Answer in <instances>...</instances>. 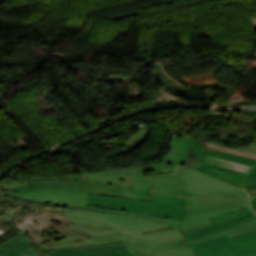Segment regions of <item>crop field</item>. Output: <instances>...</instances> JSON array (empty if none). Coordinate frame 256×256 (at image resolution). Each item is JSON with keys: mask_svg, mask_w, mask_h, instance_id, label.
I'll list each match as a JSON object with an SVG mask.
<instances>
[{"mask_svg": "<svg viewBox=\"0 0 256 256\" xmlns=\"http://www.w3.org/2000/svg\"><path fill=\"white\" fill-rule=\"evenodd\" d=\"M184 184L186 196L244 194V190L188 169L179 172Z\"/></svg>", "mask_w": 256, "mask_h": 256, "instance_id": "obj_9", "label": "crop field"}, {"mask_svg": "<svg viewBox=\"0 0 256 256\" xmlns=\"http://www.w3.org/2000/svg\"><path fill=\"white\" fill-rule=\"evenodd\" d=\"M60 210L45 208L41 213L37 212L27 216L15 224L19 226L35 243L59 240L70 236L65 234L67 226L63 219L67 216H59Z\"/></svg>", "mask_w": 256, "mask_h": 256, "instance_id": "obj_7", "label": "crop field"}, {"mask_svg": "<svg viewBox=\"0 0 256 256\" xmlns=\"http://www.w3.org/2000/svg\"><path fill=\"white\" fill-rule=\"evenodd\" d=\"M256 167V166H255Z\"/></svg>", "mask_w": 256, "mask_h": 256, "instance_id": "obj_32", "label": "crop field"}, {"mask_svg": "<svg viewBox=\"0 0 256 256\" xmlns=\"http://www.w3.org/2000/svg\"><path fill=\"white\" fill-rule=\"evenodd\" d=\"M190 247L196 256H256V228L230 238L225 235Z\"/></svg>", "mask_w": 256, "mask_h": 256, "instance_id": "obj_6", "label": "crop field"}, {"mask_svg": "<svg viewBox=\"0 0 256 256\" xmlns=\"http://www.w3.org/2000/svg\"><path fill=\"white\" fill-rule=\"evenodd\" d=\"M254 165H256V162H255V164Z\"/></svg>", "mask_w": 256, "mask_h": 256, "instance_id": "obj_31", "label": "crop field"}, {"mask_svg": "<svg viewBox=\"0 0 256 256\" xmlns=\"http://www.w3.org/2000/svg\"><path fill=\"white\" fill-rule=\"evenodd\" d=\"M250 187H256V185H254L251 182L244 181V188H250Z\"/></svg>", "mask_w": 256, "mask_h": 256, "instance_id": "obj_27", "label": "crop field"}, {"mask_svg": "<svg viewBox=\"0 0 256 256\" xmlns=\"http://www.w3.org/2000/svg\"><path fill=\"white\" fill-rule=\"evenodd\" d=\"M204 161L219 164V165L233 168V169L243 171L246 173H248V171L250 169L249 166H245V165H241V164H237V163H233V162H229V161H225V160H221V159H217V158H213V157H209V156H206Z\"/></svg>", "mask_w": 256, "mask_h": 256, "instance_id": "obj_21", "label": "crop field"}, {"mask_svg": "<svg viewBox=\"0 0 256 256\" xmlns=\"http://www.w3.org/2000/svg\"><path fill=\"white\" fill-rule=\"evenodd\" d=\"M192 148L194 149L192 151L193 154L198 159V161H200L199 164H193L192 165L193 168L201 170V171H203L205 173H208V174H210L212 176H215L217 178H220L222 180H225L227 182H230L232 184H235L237 186L242 187V181L244 179V176H240V175H237V174H232V173L224 172V171L218 170L216 168L206 167V166L201 165L202 160L204 159V157L206 155H205L204 151L201 149L198 141L195 140V139L193 141Z\"/></svg>", "mask_w": 256, "mask_h": 256, "instance_id": "obj_15", "label": "crop field"}, {"mask_svg": "<svg viewBox=\"0 0 256 256\" xmlns=\"http://www.w3.org/2000/svg\"><path fill=\"white\" fill-rule=\"evenodd\" d=\"M248 206L247 195L187 198L186 218L178 227L183 232L208 225L210 224L208 217L247 208Z\"/></svg>", "mask_w": 256, "mask_h": 256, "instance_id": "obj_5", "label": "crop field"}, {"mask_svg": "<svg viewBox=\"0 0 256 256\" xmlns=\"http://www.w3.org/2000/svg\"><path fill=\"white\" fill-rule=\"evenodd\" d=\"M249 20H250V22H251L253 28L256 29V18H251V19H249Z\"/></svg>", "mask_w": 256, "mask_h": 256, "instance_id": "obj_28", "label": "crop field"}, {"mask_svg": "<svg viewBox=\"0 0 256 256\" xmlns=\"http://www.w3.org/2000/svg\"><path fill=\"white\" fill-rule=\"evenodd\" d=\"M1 210V209H0ZM5 213L6 214V210H1V212L0 213ZM5 214L2 216V218H1V223L3 224V222H4V216H5Z\"/></svg>", "mask_w": 256, "mask_h": 256, "instance_id": "obj_29", "label": "crop field"}, {"mask_svg": "<svg viewBox=\"0 0 256 256\" xmlns=\"http://www.w3.org/2000/svg\"><path fill=\"white\" fill-rule=\"evenodd\" d=\"M256 218L254 213L248 209L239 210L233 213L216 216L209 218L211 221V225L203 226L200 228H196L190 231L183 232L182 234L186 238V240L195 238L201 235H205L211 232H215L251 219Z\"/></svg>", "mask_w": 256, "mask_h": 256, "instance_id": "obj_10", "label": "crop field"}, {"mask_svg": "<svg viewBox=\"0 0 256 256\" xmlns=\"http://www.w3.org/2000/svg\"><path fill=\"white\" fill-rule=\"evenodd\" d=\"M235 136L241 145L239 149L256 152V134L239 135V134H214L206 133L204 141L212 142L221 146L227 145L229 136Z\"/></svg>", "mask_w": 256, "mask_h": 256, "instance_id": "obj_16", "label": "crop field"}, {"mask_svg": "<svg viewBox=\"0 0 256 256\" xmlns=\"http://www.w3.org/2000/svg\"><path fill=\"white\" fill-rule=\"evenodd\" d=\"M33 240L27 236L10 249L4 251L0 256H39L32 248H27Z\"/></svg>", "mask_w": 256, "mask_h": 256, "instance_id": "obj_18", "label": "crop field"}, {"mask_svg": "<svg viewBox=\"0 0 256 256\" xmlns=\"http://www.w3.org/2000/svg\"><path fill=\"white\" fill-rule=\"evenodd\" d=\"M0 202L3 204L1 209L8 210L5 217L6 222H15L24 216L37 212L42 208V205H37L2 195H0Z\"/></svg>", "mask_w": 256, "mask_h": 256, "instance_id": "obj_14", "label": "crop field"}, {"mask_svg": "<svg viewBox=\"0 0 256 256\" xmlns=\"http://www.w3.org/2000/svg\"><path fill=\"white\" fill-rule=\"evenodd\" d=\"M48 254L51 256H132L122 242L98 246L50 250Z\"/></svg>", "mask_w": 256, "mask_h": 256, "instance_id": "obj_12", "label": "crop field"}, {"mask_svg": "<svg viewBox=\"0 0 256 256\" xmlns=\"http://www.w3.org/2000/svg\"><path fill=\"white\" fill-rule=\"evenodd\" d=\"M40 179H70V180H77L80 181L79 175H72V176H59V177H47V178H40L36 175L32 176V180L19 185L18 183L5 186L3 185L4 189H9L10 193L2 192L0 190V194L7 195L23 200H27L33 203H46V202H53L54 194L50 192H37V191H30V183L33 180H40Z\"/></svg>", "mask_w": 256, "mask_h": 256, "instance_id": "obj_11", "label": "crop field"}, {"mask_svg": "<svg viewBox=\"0 0 256 256\" xmlns=\"http://www.w3.org/2000/svg\"><path fill=\"white\" fill-rule=\"evenodd\" d=\"M208 147L212 148V149L220 150V151H225V152H230V153H234V154H239V155H244V156L256 158V154L255 153L242 152V151L227 149V148H223V147H219V146H214V145H210V144L208 145Z\"/></svg>", "mask_w": 256, "mask_h": 256, "instance_id": "obj_23", "label": "crop field"}, {"mask_svg": "<svg viewBox=\"0 0 256 256\" xmlns=\"http://www.w3.org/2000/svg\"><path fill=\"white\" fill-rule=\"evenodd\" d=\"M255 227H256V219L245 222V223H242V224H239V225H236V226H233V227H230V228H227V229H224V230H221V231H218V232H215V233H211V234H208V235H205V236H201V237H198V238H195V239L188 240V243H189V245H191V244H194V243H197V242H201V241L211 239V238H214V237H218V236H221V235H225V234H227L228 237H230V236H233L235 234L244 232L246 230H249V229H252V228H255Z\"/></svg>", "mask_w": 256, "mask_h": 256, "instance_id": "obj_17", "label": "crop field"}, {"mask_svg": "<svg viewBox=\"0 0 256 256\" xmlns=\"http://www.w3.org/2000/svg\"><path fill=\"white\" fill-rule=\"evenodd\" d=\"M147 256H195L187 241L156 251Z\"/></svg>", "mask_w": 256, "mask_h": 256, "instance_id": "obj_19", "label": "crop field"}, {"mask_svg": "<svg viewBox=\"0 0 256 256\" xmlns=\"http://www.w3.org/2000/svg\"><path fill=\"white\" fill-rule=\"evenodd\" d=\"M24 237H26V234L23 231H21L16 236H14L13 238H11V239H9L5 242L0 243V253L3 252L4 250L10 248L12 245L17 243L18 241H20Z\"/></svg>", "mask_w": 256, "mask_h": 256, "instance_id": "obj_22", "label": "crop field"}, {"mask_svg": "<svg viewBox=\"0 0 256 256\" xmlns=\"http://www.w3.org/2000/svg\"><path fill=\"white\" fill-rule=\"evenodd\" d=\"M185 200L184 197L155 195V203H149L124 198L89 195L86 205L126 210L182 221L185 218Z\"/></svg>", "mask_w": 256, "mask_h": 256, "instance_id": "obj_4", "label": "crop field"}, {"mask_svg": "<svg viewBox=\"0 0 256 256\" xmlns=\"http://www.w3.org/2000/svg\"><path fill=\"white\" fill-rule=\"evenodd\" d=\"M122 187L123 186L85 183V182H77V181H70V180H40V181H33L31 183V190L56 192L53 204L48 203L47 205L109 212V213L148 219V220L171 224L175 226L179 225L180 223L179 221L162 219V218L141 215V214L126 212V211L101 209L97 207L85 206L88 194L120 197Z\"/></svg>", "mask_w": 256, "mask_h": 256, "instance_id": "obj_2", "label": "crop field"}, {"mask_svg": "<svg viewBox=\"0 0 256 256\" xmlns=\"http://www.w3.org/2000/svg\"><path fill=\"white\" fill-rule=\"evenodd\" d=\"M156 188L155 194L166 196H185L184 184L177 171L148 175Z\"/></svg>", "mask_w": 256, "mask_h": 256, "instance_id": "obj_13", "label": "crop field"}, {"mask_svg": "<svg viewBox=\"0 0 256 256\" xmlns=\"http://www.w3.org/2000/svg\"><path fill=\"white\" fill-rule=\"evenodd\" d=\"M203 149H204L206 155L233 161V162H237V163H241V164H245V165H249V166H251L254 161L253 158L234 155V154H230V153L219 152V151L208 149V148H203Z\"/></svg>", "mask_w": 256, "mask_h": 256, "instance_id": "obj_20", "label": "crop field"}, {"mask_svg": "<svg viewBox=\"0 0 256 256\" xmlns=\"http://www.w3.org/2000/svg\"><path fill=\"white\" fill-rule=\"evenodd\" d=\"M72 216L67 233L55 242L39 243L44 250L123 241L134 256L185 241L178 227L121 215L65 208Z\"/></svg>", "mask_w": 256, "mask_h": 256, "instance_id": "obj_1", "label": "crop field"}, {"mask_svg": "<svg viewBox=\"0 0 256 256\" xmlns=\"http://www.w3.org/2000/svg\"><path fill=\"white\" fill-rule=\"evenodd\" d=\"M246 180L252 181L253 183L256 184V168H252L250 173L248 174Z\"/></svg>", "mask_w": 256, "mask_h": 256, "instance_id": "obj_25", "label": "crop field"}, {"mask_svg": "<svg viewBox=\"0 0 256 256\" xmlns=\"http://www.w3.org/2000/svg\"><path fill=\"white\" fill-rule=\"evenodd\" d=\"M250 198V204H251V209L254 211L256 209V195H249ZM256 213V211H254Z\"/></svg>", "mask_w": 256, "mask_h": 256, "instance_id": "obj_26", "label": "crop field"}, {"mask_svg": "<svg viewBox=\"0 0 256 256\" xmlns=\"http://www.w3.org/2000/svg\"><path fill=\"white\" fill-rule=\"evenodd\" d=\"M203 165L213 166V167L219 168V169L224 170V171L233 172V173H237V174H241V175L246 176V173H242V172H239V171H236V170H232V169L222 167V166H219V165H215V164H211V163H208V162L203 161Z\"/></svg>", "mask_w": 256, "mask_h": 256, "instance_id": "obj_24", "label": "crop field"}, {"mask_svg": "<svg viewBox=\"0 0 256 256\" xmlns=\"http://www.w3.org/2000/svg\"><path fill=\"white\" fill-rule=\"evenodd\" d=\"M193 138L172 132L166 152L158 159L143 163L146 174L170 172L187 166Z\"/></svg>", "mask_w": 256, "mask_h": 256, "instance_id": "obj_8", "label": "crop field"}, {"mask_svg": "<svg viewBox=\"0 0 256 256\" xmlns=\"http://www.w3.org/2000/svg\"><path fill=\"white\" fill-rule=\"evenodd\" d=\"M79 173L81 181L124 185L121 197L154 202L155 188L147 179L142 165L102 168Z\"/></svg>", "mask_w": 256, "mask_h": 256, "instance_id": "obj_3", "label": "crop field"}, {"mask_svg": "<svg viewBox=\"0 0 256 256\" xmlns=\"http://www.w3.org/2000/svg\"><path fill=\"white\" fill-rule=\"evenodd\" d=\"M44 256H49V255L46 254V255H44Z\"/></svg>", "mask_w": 256, "mask_h": 256, "instance_id": "obj_30", "label": "crop field"}]
</instances>
